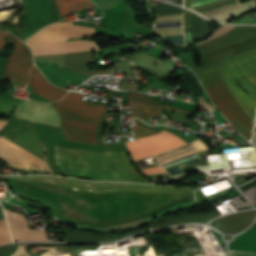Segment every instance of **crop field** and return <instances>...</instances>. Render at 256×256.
<instances>
[{
	"label": "crop field",
	"instance_id": "obj_1",
	"mask_svg": "<svg viewBox=\"0 0 256 256\" xmlns=\"http://www.w3.org/2000/svg\"><path fill=\"white\" fill-rule=\"evenodd\" d=\"M203 64L223 59L222 64L211 63L193 68L198 74L216 70L225 86L252 119L256 101L243 92L231 78H237L256 99V27L237 26L226 35L198 46ZM216 71L198 75L216 106L233 127L250 139L253 122L222 83Z\"/></svg>",
	"mask_w": 256,
	"mask_h": 256
},
{
	"label": "crop field",
	"instance_id": "obj_2",
	"mask_svg": "<svg viewBox=\"0 0 256 256\" xmlns=\"http://www.w3.org/2000/svg\"><path fill=\"white\" fill-rule=\"evenodd\" d=\"M52 160L65 175L149 183L132 167L127 152L94 153L52 146Z\"/></svg>",
	"mask_w": 256,
	"mask_h": 256
},
{
	"label": "crop field",
	"instance_id": "obj_3",
	"mask_svg": "<svg viewBox=\"0 0 256 256\" xmlns=\"http://www.w3.org/2000/svg\"><path fill=\"white\" fill-rule=\"evenodd\" d=\"M126 145L133 160H135L188 144L179 137L163 130L159 134L150 137L126 142ZM154 157L174 180L188 174L183 169L178 170V168L201 160L190 145L154 155Z\"/></svg>",
	"mask_w": 256,
	"mask_h": 256
},
{
	"label": "crop field",
	"instance_id": "obj_4",
	"mask_svg": "<svg viewBox=\"0 0 256 256\" xmlns=\"http://www.w3.org/2000/svg\"><path fill=\"white\" fill-rule=\"evenodd\" d=\"M84 95L69 93L61 101L51 104L61 115V129L67 140L95 142V128L107 106L84 101Z\"/></svg>",
	"mask_w": 256,
	"mask_h": 256
},
{
	"label": "crop field",
	"instance_id": "obj_5",
	"mask_svg": "<svg viewBox=\"0 0 256 256\" xmlns=\"http://www.w3.org/2000/svg\"><path fill=\"white\" fill-rule=\"evenodd\" d=\"M26 5V29L23 40L49 23L56 22L65 15L81 8L94 6L91 0H24Z\"/></svg>",
	"mask_w": 256,
	"mask_h": 256
},
{
	"label": "crop field",
	"instance_id": "obj_6",
	"mask_svg": "<svg viewBox=\"0 0 256 256\" xmlns=\"http://www.w3.org/2000/svg\"><path fill=\"white\" fill-rule=\"evenodd\" d=\"M0 157L10 164L22 169L50 170L45 161L13 143L4 136H0Z\"/></svg>",
	"mask_w": 256,
	"mask_h": 256
},
{
	"label": "crop field",
	"instance_id": "obj_7",
	"mask_svg": "<svg viewBox=\"0 0 256 256\" xmlns=\"http://www.w3.org/2000/svg\"><path fill=\"white\" fill-rule=\"evenodd\" d=\"M95 29L73 26L69 22L51 24L42 28L37 34L32 36L27 44L37 42L66 41L69 38L87 37L93 35Z\"/></svg>",
	"mask_w": 256,
	"mask_h": 256
},
{
	"label": "crop field",
	"instance_id": "obj_8",
	"mask_svg": "<svg viewBox=\"0 0 256 256\" xmlns=\"http://www.w3.org/2000/svg\"><path fill=\"white\" fill-rule=\"evenodd\" d=\"M16 44L11 53L6 79H14L28 83L29 69L33 65L32 53L27 45L19 41L14 35L9 34L8 39Z\"/></svg>",
	"mask_w": 256,
	"mask_h": 256
},
{
	"label": "crop field",
	"instance_id": "obj_9",
	"mask_svg": "<svg viewBox=\"0 0 256 256\" xmlns=\"http://www.w3.org/2000/svg\"><path fill=\"white\" fill-rule=\"evenodd\" d=\"M34 56L38 55H58L62 53L97 51L100 48L94 41L76 40L70 42H52L29 45Z\"/></svg>",
	"mask_w": 256,
	"mask_h": 256
},
{
	"label": "crop field",
	"instance_id": "obj_10",
	"mask_svg": "<svg viewBox=\"0 0 256 256\" xmlns=\"http://www.w3.org/2000/svg\"><path fill=\"white\" fill-rule=\"evenodd\" d=\"M13 117L60 126L58 112L48 104L22 101Z\"/></svg>",
	"mask_w": 256,
	"mask_h": 256
},
{
	"label": "crop field",
	"instance_id": "obj_11",
	"mask_svg": "<svg viewBox=\"0 0 256 256\" xmlns=\"http://www.w3.org/2000/svg\"><path fill=\"white\" fill-rule=\"evenodd\" d=\"M37 67L48 80L61 88H65L68 82L78 85L87 77L86 75L70 72L64 67L49 61L34 59Z\"/></svg>",
	"mask_w": 256,
	"mask_h": 256
},
{
	"label": "crop field",
	"instance_id": "obj_12",
	"mask_svg": "<svg viewBox=\"0 0 256 256\" xmlns=\"http://www.w3.org/2000/svg\"><path fill=\"white\" fill-rule=\"evenodd\" d=\"M13 241H49L46 230L29 229L24 216L5 210Z\"/></svg>",
	"mask_w": 256,
	"mask_h": 256
},
{
	"label": "crop field",
	"instance_id": "obj_13",
	"mask_svg": "<svg viewBox=\"0 0 256 256\" xmlns=\"http://www.w3.org/2000/svg\"><path fill=\"white\" fill-rule=\"evenodd\" d=\"M30 90L40 97L51 101H58L68 92L66 90L56 88L48 83L44 77L40 75L35 65L32 68Z\"/></svg>",
	"mask_w": 256,
	"mask_h": 256
},
{
	"label": "crop field",
	"instance_id": "obj_14",
	"mask_svg": "<svg viewBox=\"0 0 256 256\" xmlns=\"http://www.w3.org/2000/svg\"><path fill=\"white\" fill-rule=\"evenodd\" d=\"M128 104L133 106L132 114L141 118L158 114L163 108V106L142 94H129Z\"/></svg>",
	"mask_w": 256,
	"mask_h": 256
},
{
	"label": "crop field",
	"instance_id": "obj_15",
	"mask_svg": "<svg viewBox=\"0 0 256 256\" xmlns=\"http://www.w3.org/2000/svg\"><path fill=\"white\" fill-rule=\"evenodd\" d=\"M211 0H192V5L204 3ZM237 0H215L211 2H207L204 4L192 6L191 9L194 11L199 12L200 14L204 15L205 17L228 6L229 4L235 2ZM239 1V0H238Z\"/></svg>",
	"mask_w": 256,
	"mask_h": 256
},
{
	"label": "crop field",
	"instance_id": "obj_16",
	"mask_svg": "<svg viewBox=\"0 0 256 256\" xmlns=\"http://www.w3.org/2000/svg\"><path fill=\"white\" fill-rule=\"evenodd\" d=\"M212 217H216V214L214 213V211H210L208 213H202V214L180 215V216L171 218L169 220H166L164 222L153 224L152 228L159 227V226H165V225H171V224L191 223V222H195V221L207 220Z\"/></svg>",
	"mask_w": 256,
	"mask_h": 256
},
{
	"label": "crop field",
	"instance_id": "obj_17",
	"mask_svg": "<svg viewBox=\"0 0 256 256\" xmlns=\"http://www.w3.org/2000/svg\"><path fill=\"white\" fill-rule=\"evenodd\" d=\"M67 240L69 241H113L115 237H101L97 235H90L88 233H71L67 232Z\"/></svg>",
	"mask_w": 256,
	"mask_h": 256
},
{
	"label": "crop field",
	"instance_id": "obj_18",
	"mask_svg": "<svg viewBox=\"0 0 256 256\" xmlns=\"http://www.w3.org/2000/svg\"><path fill=\"white\" fill-rule=\"evenodd\" d=\"M135 122H136V125L131 127L133 130L135 139L158 133L156 131H153L147 128L145 125L141 124L136 120Z\"/></svg>",
	"mask_w": 256,
	"mask_h": 256
},
{
	"label": "crop field",
	"instance_id": "obj_19",
	"mask_svg": "<svg viewBox=\"0 0 256 256\" xmlns=\"http://www.w3.org/2000/svg\"><path fill=\"white\" fill-rule=\"evenodd\" d=\"M11 242L5 220H0V244Z\"/></svg>",
	"mask_w": 256,
	"mask_h": 256
},
{
	"label": "crop field",
	"instance_id": "obj_20",
	"mask_svg": "<svg viewBox=\"0 0 256 256\" xmlns=\"http://www.w3.org/2000/svg\"><path fill=\"white\" fill-rule=\"evenodd\" d=\"M234 26H229V25H223L221 27H219L217 30H215L206 40H203V41H200V42H197L196 44L197 45H200L204 42H207L215 37H218L222 34H224L225 32H227L228 30H230L231 28H233Z\"/></svg>",
	"mask_w": 256,
	"mask_h": 256
},
{
	"label": "crop field",
	"instance_id": "obj_21",
	"mask_svg": "<svg viewBox=\"0 0 256 256\" xmlns=\"http://www.w3.org/2000/svg\"><path fill=\"white\" fill-rule=\"evenodd\" d=\"M142 171L147 176L166 174L165 171L160 166L148 168V169H142Z\"/></svg>",
	"mask_w": 256,
	"mask_h": 256
},
{
	"label": "crop field",
	"instance_id": "obj_22",
	"mask_svg": "<svg viewBox=\"0 0 256 256\" xmlns=\"http://www.w3.org/2000/svg\"><path fill=\"white\" fill-rule=\"evenodd\" d=\"M19 244L10 245L6 247H0V256H10L18 248Z\"/></svg>",
	"mask_w": 256,
	"mask_h": 256
},
{
	"label": "crop field",
	"instance_id": "obj_23",
	"mask_svg": "<svg viewBox=\"0 0 256 256\" xmlns=\"http://www.w3.org/2000/svg\"><path fill=\"white\" fill-rule=\"evenodd\" d=\"M251 17V16H250ZM248 15L243 17L242 19L233 22V23H243V24H256V20L250 18Z\"/></svg>",
	"mask_w": 256,
	"mask_h": 256
},
{
	"label": "crop field",
	"instance_id": "obj_24",
	"mask_svg": "<svg viewBox=\"0 0 256 256\" xmlns=\"http://www.w3.org/2000/svg\"><path fill=\"white\" fill-rule=\"evenodd\" d=\"M231 255L232 256H256V253H246V252L232 251Z\"/></svg>",
	"mask_w": 256,
	"mask_h": 256
},
{
	"label": "crop field",
	"instance_id": "obj_25",
	"mask_svg": "<svg viewBox=\"0 0 256 256\" xmlns=\"http://www.w3.org/2000/svg\"><path fill=\"white\" fill-rule=\"evenodd\" d=\"M13 256H30L29 250L19 249V251Z\"/></svg>",
	"mask_w": 256,
	"mask_h": 256
},
{
	"label": "crop field",
	"instance_id": "obj_26",
	"mask_svg": "<svg viewBox=\"0 0 256 256\" xmlns=\"http://www.w3.org/2000/svg\"><path fill=\"white\" fill-rule=\"evenodd\" d=\"M7 35L8 33L6 32H0V46L4 44Z\"/></svg>",
	"mask_w": 256,
	"mask_h": 256
},
{
	"label": "crop field",
	"instance_id": "obj_27",
	"mask_svg": "<svg viewBox=\"0 0 256 256\" xmlns=\"http://www.w3.org/2000/svg\"><path fill=\"white\" fill-rule=\"evenodd\" d=\"M164 107L168 108V109H172V110H176V111H180V112H184V113H188V114L192 115V112H188V111H185V110H182V109H178V108L167 106V105H165Z\"/></svg>",
	"mask_w": 256,
	"mask_h": 256
},
{
	"label": "crop field",
	"instance_id": "obj_28",
	"mask_svg": "<svg viewBox=\"0 0 256 256\" xmlns=\"http://www.w3.org/2000/svg\"><path fill=\"white\" fill-rule=\"evenodd\" d=\"M9 123V121H0V132L4 129V127Z\"/></svg>",
	"mask_w": 256,
	"mask_h": 256
},
{
	"label": "crop field",
	"instance_id": "obj_29",
	"mask_svg": "<svg viewBox=\"0 0 256 256\" xmlns=\"http://www.w3.org/2000/svg\"><path fill=\"white\" fill-rule=\"evenodd\" d=\"M199 103L209 107L211 109V111H214V109L211 106H209L205 101H203V103H201V98H200Z\"/></svg>",
	"mask_w": 256,
	"mask_h": 256
},
{
	"label": "crop field",
	"instance_id": "obj_30",
	"mask_svg": "<svg viewBox=\"0 0 256 256\" xmlns=\"http://www.w3.org/2000/svg\"><path fill=\"white\" fill-rule=\"evenodd\" d=\"M4 217H3V213H2V210H1V208H0V219H3Z\"/></svg>",
	"mask_w": 256,
	"mask_h": 256
},
{
	"label": "crop field",
	"instance_id": "obj_31",
	"mask_svg": "<svg viewBox=\"0 0 256 256\" xmlns=\"http://www.w3.org/2000/svg\"><path fill=\"white\" fill-rule=\"evenodd\" d=\"M254 142H256V134H255Z\"/></svg>",
	"mask_w": 256,
	"mask_h": 256
}]
</instances>
